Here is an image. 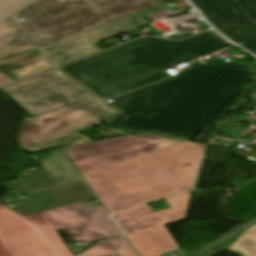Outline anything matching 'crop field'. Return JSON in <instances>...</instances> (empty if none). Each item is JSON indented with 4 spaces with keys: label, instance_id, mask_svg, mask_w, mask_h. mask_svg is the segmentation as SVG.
<instances>
[{
    "label": "crop field",
    "instance_id": "crop-field-1",
    "mask_svg": "<svg viewBox=\"0 0 256 256\" xmlns=\"http://www.w3.org/2000/svg\"><path fill=\"white\" fill-rule=\"evenodd\" d=\"M195 61L167 80L115 98L120 113L104 121L127 131L189 140L239 102L256 83L253 64Z\"/></svg>",
    "mask_w": 256,
    "mask_h": 256
},
{
    "label": "crop field",
    "instance_id": "crop-field-2",
    "mask_svg": "<svg viewBox=\"0 0 256 256\" xmlns=\"http://www.w3.org/2000/svg\"><path fill=\"white\" fill-rule=\"evenodd\" d=\"M226 45L211 31L182 41L145 37L59 68L96 95L107 99L171 76L162 70Z\"/></svg>",
    "mask_w": 256,
    "mask_h": 256
},
{
    "label": "crop field",
    "instance_id": "crop-field-3",
    "mask_svg": "<svg viewBox=\"0 0 256 256\" xmlns=\"http://www.w3.org/2000/svg\"><path fill=\"white\" fill-rule=\"evenodd\" d=\"M203 146L183 142L81 174L113 213L192 188Z\"/></svg>",
    "mask_w": 256,
    "mask_h": 256
},
{
    "label": "crop field",
    "instance_id": "crop-field-4",
    "mask_svg": "<svg viewBox=\"0 0 256 256\" xmlns=\"http://www.w3.org/2000/svg\"><path fill=\"white\" fill-rule=\"evenodd\" d=\"M161 3L155 0H31L15 18L39 46Z\"/></svg>",
    "mask_w": 256,
    "mask_h": 256
},
{
    "label": "crop field",
    "instance_id": "crop-field-5",
    "mask_svg": "<svg viewBox=\"0 0 256 256\" xmlns=\"http://www.w3.org/2000/svg\"><path fill=\"white\" fill-rule=\"evenodd\" d=\"M189 193L166 198L172 206L153 213L147 205L112 215L141 256L178 249L163 225L185 218Z\"/></svg>",
    "mask_w": 256,
    "mask_h": 256
},
{
    "label": "crop field",
    "instance_id": "crop-field-6",
    "mask_svg": "<svg viewBox=\"0 0 256 256\" xmlns=\"http://www.w3.org/2000/svg\"><path fill=\"white\" fill-rule=\"evenodd\" d=\"M114 109L95 96L52 112L25 119L17 138L22 150L27 151L75 131H82L115 113Z\"/></svg>",
    "mask_w": 256,
    "mask_h": 256
},
{
    "label": "crop field",
    "instance_id": "crop-field-7",
    "mask_svg": "<svg viewBox=\"0 0 256 256\" xmlns=\"http://www.w3.org/2000/svg\"><path fill=\"white\" fill-rule=\"evenodd\" d=\"M0 242L9 256H73L44 212L21 217L1 203Z\"/></svg>",
    "mask_w": 256,
    "mask_h": 256
},
{
    "label": "crop field",
    "instance_id": "crop-field-8",
    "mask_svg": "<svg viewBox=\"0 0 256 256\" xmlns=\"http://www.w3.org/2000/svg\"><path fill=\"white\" fill-rule=\"evenodd\" d=\"M32 117L93 96L54 69L0 89Z\"/></svg>",
    "mask_w": 256,
    "mask_h": 256
},
{
    "label": "crop field",
    "instance_id": "crop-field-9",
    "mask_svg": "<svg viewBox=\"0 0 256 256\" xmlns=\"http://www.w3.org/2000/svg\"><path fill=\"white\" fill-rule=\"evenodd\" d=\"M179 142L182 141L138 134L70 146L65 153L81 172Z\"/></svg>",
    "mask_w": 256,
    "mask_h": 256
},
{
    "label": "crop field",
    "instance_id": "crop-field-10",
    "mask_svg": "<svg viewBox=\"0 0 256 256\" xmlns=\"http://www.w3.org/2000/svg\"><path fill=\"white\" fill-rule=\"evenodd\" d=\"M190 1L220 32L256 54V0Z\"/></svg>",
    "mask_w": 256,
    "mask_h": 256
},
{
    "label": "crop field",
    "instance_id": "crop-field-11",
    "mask_svg": "<svg viewBox=\"0 0 256 256\" xmlns=\"http://www.w3.org/2000/svg\"><path fill=\"white\" fill-rule=\"evenodd\" d=\"M45 214L55 230L63 229L73 241L92 242L122 235L102 206L84 209L78 203Z\"/></svg>",
    "mask_w": 256,
    "mask_h": 256
},
{
    "label": "crop field",
    "instance_id": "crop-field-12",
    "mask_svg": "<svg viewBox=\"0 0 256 256\" xmlns=\"http://www.w3.org/2000/svg\"><path fill=\"white\" fill-rule=\"evenodd\" d=\"M147 24V22L135 13L89 31L41 47V49L49 59L58 66L68 61L100 51V49L92 44L94 42Z\"/></svg>",
    "mask_w": 256,
    "mask_h": 256
},
{
    "label": "crop field",
    "instance_id": "crop-field-13",
    "mask_svg": "<svg viewBox=\"0 0 256 256\" xmlns=\"http://www.w3.org/2000/svg\"><path fill=\"white\" fill-rule=\"evenodd\" d=\"M26 195L28 196L26 199L15 200L11 198L3 201L12 204L14 207L11 209L24 216L95 198L84 182H76Z\"/></svg>",
    "mask_w": 256,
    "mask_h": 256
},
{
    "label": "crop field",
    "instance_id": "crop-field-14",
    "mask_svg": "<svg viewBox=\"0 0 256 256\" xmlns=\"http://www.w3.org/2000/svg\"><path fill=\"white\" fill-rule=\"evenodd\" d=\"M27 0H0V61L37 47L12 19L14 11Z\"/></svg>",
    "mask_w": 256,
    "mask_h": 256
},
{
    "label": "crop field",
    "instance_id": "crop-field-15",
    "mask_svg": "<svg viewBox=\"0 0 256 256\" xmlns=\"http://www.w3.org/2000/svg\"><path fill=\"white\" fill-rule=\"evenodd\" d=\"M51 67H53V65L38 49L2 61L0 62V86L36 74Z\"/></svg>",
    "mask_w": 256,
    "mask_h": 256
},
{
    "label": "crop field",
    "instance_id": "crop-field-16",
    "mask_svg": "<svg viewBox=\"0 0 256 256\" xmlns=\"http://www.w3.org/2000/svg\"><path fill=\"white\" fill-rule=\"evenodd\" d=\"M39 163L59 185L82 179L71 166L61 149L52 152L40 160Z\"/></svg>",
    "mask_w": 256,
    "mask_h": 256
},
{
    "label": "crop field",
    "instance_id": "crop-field-17",
    "mask_svg": "<svg viewBox=\"0 0 256 256\" xmlns=\"http://www.w3.org/2000/svg\"><path fill=\"white\" fill-rule=\"evenodd\" d=\"M52 186H56V184L47 174L39 169L23 174L17 181H13L5 187L15 191L16 193H26Z\"/></svg>",
    "mask_w": 256,
    "mask_h": 256
},
{
    "label": "crop field",
    "instance_id": "crop-field-18",
    "mask_svg": "<svg viewBox=\"0 0 256 256\" xmlns=\"http://www.w3.org/2000/svg\"><path fill=\"white\" fill-rule=\"evenodd\" d=\"M225 250L241 256H256V224L237 236Z\"/></svg>",
    "mask_w": 256,
    "mask_h": 256
},
{
    "label": "crop field",
    "instance_id": "crop-field-19",
    "mask_svg": "<svg viewBox=\"0 0 256 256\" xmlns=\"http://www.w3.org/2000/svg\"><path fill=\"white\" fill-rule=\"evenodd\" d=\"M86 142H92V140L80 133L75 132L73 134L67 135L65 137H62L60 139H57V140L47 143L45 145H42V146H39L32 150H29L27 152L28 153L38 152V151L54 149V148H59V147H65V146H70V145H76V144H81V143H86Z\"/></svg>",
    "mask_w": 256,
    "mask_h": 256
},
{
    "label": "crop field",
    "instance_id": "crop-field-20",
    "mask_svg": "<svg viewBox=\"0 0 256 256\" xmlns=\"http://www.w3.org/2000/svg\"><path fill=\"white\" fill-rule=\"evenodd\" d=\"M123 237L99 242L87 251L77 255V256H107L115 254L117 248L119 247Z\"/></svg>",
    "mask_w": 256,
    "mask_h": 256
},
{
    "label": "crop field",
    "instance_id": "crop-field-21",
    "mask_svg": "<svg viewBox=\"0 0 256 256\" xmlns=\"http://www.w3.org/2000/svg\"><path fill=\"white\" fill-rule=\"evenodd\" d=\"M117 254L119 256H137V254L134 252V250L125 239Z\"/></svg>",
    "mask_w": 256,
    "mask_h": 256
},
{
    "label": "crop field",
    "instance_id": "crop-field-22",
    "mask_svg": "<svg viewBox=\"0 0 256 256\" xmlns=\"http://www.w3.org/2000/svg\"><path fill=\"white\" fill-rule=\"evenodd\" d=\"M158 1L162 2L163 4H168L177 0H158Z\"/></svg>",
    "mask_w": 256,
    "mask_h": 256
}]
</instances>
